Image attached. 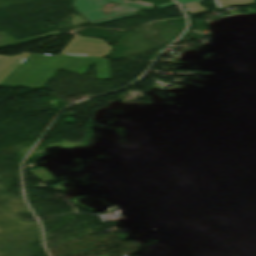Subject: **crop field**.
I'll list each match as a JSON object with an SVG mask.
<instances>
[{
  "mask_svg": "<svg viewBox=\"0 0 256 256\" xmlns=\"http://www.w3.org/2000/svg\"><path fill=\"white\" fill-rule=\"evenodd\" d=\"M93 63H96L97 79H110L107 59L32 54L3 85L40 89L59 69L84 75Z\"/></svg>",
  "mask_w": 256,
  "mask_h": 256,
  "instance_id": "8a807250",
  "label": "crop field"
},
{
  "mask_svg": "<svg viewBox=\"0 0 256 256\" xmlns=\"http://www.w3.org/2000/svg\"><path fill=\"white\" fill-rule=\"evenodd\" d=\"M109 1L123 3V4L120 6L113 7L111 15H108V16H105L100 10L103 8L102 5L109 3L105 0H74L73 7H75L80 13H82L85 17H87L89 22H91L94 25L130 17L135 15L133 11L140 10L138 8H135L126 4H130L133 6H137V7H141L149 10H152L153 8L151 6L138 4L134 2L127 3L123 0H109ZM175 5L176 4L174 2H171V3L162 4L158 6L161 8H165V7L175 6Z\"/></svg>",
  "mask_w": 256,
  "mask_h": 256,
  "instance_id": "ac0d7876",
  "label": "crop field"
},
{
  "mask_svg": "<svg viewBox=\"0 0 256 256\" xmlns=\"http://www.w3.org/2000/svg\"><path fill=\"white\" fill-rule=\"evenodd\" d=\"M111 49L103 40L75 36L60 54L104 58Z\"/></svg>",
  "mask_w": 256,
  "mask_h": 256,
  "instance_id": "34b2d1b8",
  "label": "crop field"
},
{
  "mask_svg": "<svg viewBox=\"0 0 256 256\" xmlns=\"http://www.w3.org/2000/svg\"><path fill=\"white\" fill-rule=\"evenodd\" d=\"M23 53L13 57L0 56V83L27 57Z\"/></svg>",
  "mask_w": 256,
  "mask_h": 256,
  "instance_id": "412701ff",
  "label": "crop field"
},
{
  "mask_svg": "<svg viewBox=\"0 0 256 256\" xmlns=\"http://www.w3.org/2000/svg\"><path fill=\"white\" fill-rule=\"evenodd\" d=\"M219 9L253 3V0H214Z\"/></svg>",
  "mask_w": 256,
  "mask_h": 256,
  "instance_id": "f4fd0767",
  "label": "crop field"
},
{
  "mask_svg": "<svg viewBox=\"0 0 256 256\" xmlns=\"http://www.w3.org/2000/svg\"><path fill=\"white\" fill-rule=\"evenodd\" d=\"M185 7L191 12V14L207 12V10L201 7L198 2L185 5Z\"/></svg>",
  "mask_w": 256,
  "mask_h": 256,
  "instance_id": "dd49c442",
  "label": "crop field"
},
{
  "mask_svg": "<svg viewBox=\"0 0 256 256\" xmlns=\"http://www.w3.org/2000/svg\"><path fill=\"white\" fill-rule=\"evenodd\" d=\"M180 4L182 3H186V2H190V1H194V0H177Z\"/></svg>",
  "mask_w": 256,
  "mask_h": 256,
  "instance_id": "e52e79f7",
  "label": "crop field"
}]
</instances>
